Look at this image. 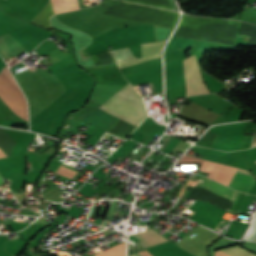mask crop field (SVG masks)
Listing matches in <instances>:
<instances>
[{"mask_svg": "<svg viewBox=\"0 0 256 256\" xmlns=\"http://www.w3.org/2000/svg\"><path fill=\"white\" fill-rule=\"evenodd\" d=\"M103 14L169 28H172L177 18V13L174 12L124 1L119 2Z\"/></svg>", "mask_w": 256, "mask_h": 256, "instance_id": "1", "label": "crop field"}, {"mask_svg": "<svg viewBox=\"0 0 256 256\" xmlns=\"http://www.w3.org/2000/svg\"><path fill=\"white\" fill-rule=\"evenodd\" d=\"M101 108L136 126L147 116L141 97L130 84L116 93Z\"/></svg>", "mask_w": 256, "mask_h": 256, "instance_id": "2", "label": "crop field"}, {"mask_svg": "<svg viewBox=\"0 0 256 256\" xmlns=\"http://www.w3.org/2000/svg\"><path fill=\"white\" fill-rule=\"evenodd\" d=\"M0 99L13 112L28 123V111L25 97L7 67L0 73Z\"/></svg>", "mask_w": 256, "mask_h": 256, "instance_id": "3", "label": "crop field"}, {"mask_svg": "<svg viewBox=\"0 0 256 256\" xmlns=\"http://www.w3.org/2000/svg\"><path fill=\"white\" fill-rule=\"evenodd\" d=\"M183 64L186 80V96L209 93L207 87L202 80L199 66L195 57L193 56L184 60Z\"/></svg>", "mask_w": 256, "mask_h": 256, "instance_id": "4", "label": "crop field"}, {"mask_svg": "<svg viewBox=\"0 0 256 256\" xmlns=\"http://www.w3.org/2000/svg\"><path fill=\"white\" fill-rule=\"evenodd\" d=\"M166 90L183 86L181 58L165 63Z\"/></svg>", "mask_w": 256, "mask_h": 256, "instance_id": "5", "label": "crop field"}, {"mask_svg": "<svg viewBox=\"0 0 256 256\" xmlns=\"http://www.w3.org/2000/svg\"><path fill=\"white\" fill-rule=\"evenodd\" d=\"M165 41H159V42H152V43H144L141 44L142 47V58H135L129 61H125L122 63H119V67H125L128 65H132L138 62L155 59L160 57V51L163 47Z\"/></svg>", "mask_w": 256, "mask_h": 256, "instance_id": "6", "label": "crop field"}, {"mask_svg": "<svg viewBox=\"0 0 256 256\" xmlns=\"http://www.w3.org/2000/svg\"><path fill=\"white\" fill-rule=\"evenodd\" d=\"M196 187L227 197L232 200L234 199L237 193L236 191L203 176H201V178L199 179L198 183L196 184Z\"/></svg>", "mask_w": 256, "mask_h": 256, "instance_id": "7", "label": "crop field"}, {"mask_svg": "<svg viewBox=\"0 0 256 256\" xmlns=\"http://www.w3.org/2000/svg\"><path fill=\"white\" fill-rule=\"evenodd\" d=\"M23 51L25 49L9 33L0 36V55L3 58Z\"/></svg>", "mask_w": 256, "mask_h": 256, "instance_id": "8", "label": "crop field"}, {"mask_svg": "<svg viewBox=\"0 0 256 256\" xmlns=\"http://www.w3.org/2000/svg\"><path fill=\"white\" fill-rule=\"evenodd\" d=\"M239 171L250 174L249 171H245V170H241V169H239ZM248 174L246 175V174L238 172L236 177H235V179H234V181H233V183H232V185H231V188H233V189L238 191L240 186H241V184H242V181H243V179H244V177L246 175V177H245V179L243 181V184H242V186H241L239 191L251 194L253 189H254L255 183L253 181L252 176L248 175Z\"/></svg>", "mask_w": 256, "mask_h": 256, "instance_id": "9", "label": "crop field"}, {"mask_svg": "<svg viewBox=\"0 0 256 256\" xmlns=\"http://www.w3.org/2000/svg\"><path fill=\"white\" fill-rule=\"evenodd\" d=\"M133 235L141 241L145 248L167 241L164 237H162L152 229Z\"/></svg>", "mask_w": 256, "mask_h": 256, "instance_id": "10", "label": "crop field"}, {"mask_svg": "<svg viewBox=\"0 0 256 256\" xmlns=\"http://www.w3.org/2000/svg\"><path fill=\"white\" fill-rule=\"evenodd\" d=\"M54 13L79 9L77 0H51Z\"/></svg>", "mask_w": 256, "mask_h": 256, "instance_id": "11", "label": "crop field"}, {"mask_svg": "<svg viewBox=\"0 0 256 256\" xmlns=\"http://www.w3.org/2000/svg\"><path fill=\"white\" fill-rule=\"evenodd\" d=\"M117 63L135 58L129 48L109 51Z\"/></svg>", "mask_w": 256, "mask_h": 256, "instance_id": "12", "label": "crop field"}, {"mask_svg": "<svg viewBox=\"0 0 256 256\" xmlns=\"http://www.w3.org/2000/svg\"><path fill=\"white\" fill-rule=\"evenodd\" d=\"M126 1L147 4V5H153V6H158V7H163V8L174 10L169 0H126Z\"/></svg>", "mask_w": 256, "mask_h": 256, "instance_id": "13", "label": "crop field"}, {"mask_svg": "<svg viewBox=\"0 0 256 256\" xmlns=\"http://www.w3.org/2000/svg\"><path fill=\"white\" fill-rule=\"evenodd\" d=\"M219 166V163L204 160L203 164L200 166V171L210 173L209 178L213 179Z\"/></svg>", "mask_w": 256, "mask_h": 256, "instance_id": "14", "label": "crop field"}, {"mask_svg": "<svg viewBox=\"0 0 256 256\" xmlns=\"http://www.w3.org/2000/svg\"><path fill=\"white\" fill-rule=\"evenodd\" d=\"M62 167H63V166H62ZM62 167H61V168H62ZM61 168H60V169H61ZM59 171H60V170H59ZM59 171H58V172H59ZM72 171H73V169L64 166V167L62 168V170L59 172V174L64 175V176L67 177ZM58 172H57V173H58ZM77 173H78V171L74 170L67 178L70 179V180H72V179L76 176Z\"/></svg>", "mask_w": 256, "mask_h": 256, "instance_id": "15", "label": "crop field"}, {"mask_svg": "<svg viewBox=\"0 0 256 256\" xmlns=\"http://www.w3.org/2000/svg\"><path fill=\"white\" fill-rule=\"evenodd\" d=\"M130 256H152V255L147 250H145L140 253L132 254Z\"/></svg>", "mask_w": 256, "mask_h": 256, "instance_id": "16", "label": "crop field"}, {"mask_svg": "<svg viewBox=\"0 0 256 256\" xmlns=\"http://www.w3.org/2000/svg\"><path fill=\"white\" fill-rule=\"evenodd\" d=\"M247 125H248V122H247V124H246L245 132H248V130H249V129H247ZM251 125H252V122H249L248 128H250ZM252 127H256V124H253ZM251 130H252V128H250V131H249V132H251Z\"/></svg>", "mask_w": 256, "mask_h": 256, "instance_id": "17", "label": "crop field"}, {"mask_svg": "<svg viewBox=\"0 0 256 256\" xmlns=\"http://www.w3.org/2000/svg\"><path fill=\"white\" fill-rule=\"evenodd\" d=\"M216 256H230V255H228V254H226V253L221 251V252H217Z\"/></svg>", "mask_w": 256, "mask_h": 256, "instance_id": "18", "label": "crop field"}, {"mask_svg": "<svg viewBox=\"0 0 256 256\" xmlns=\"http://www.w3.org/2000/svg\"><path fill=\"white\" fill-rule=\"evenodd\" d=\"M230 105H231V104H230ZM230 105H229V106H230ZM229 106H228V107H229ZM231 106H232V105H231ZM231 106H230V107H231ZM228 107L226 108V110L228 109ZM233 108H234V107L232 106V107L229 109V111H231ZM229 111H228V112H229ZM224 112H225V110H224ZM224 112H223L222 114H224ZM226 112H227V111H226ZM228 112H227V113H228ZM225 114H226V113H225ZM225 114H224V115H225ZM228 114H229V113H228ZM226 115H227V114H226ZM226 115H225V116H226ZM226 117H227V116H226Z\"/></svg>", "mask_w": 256, "mask_h": 256, "instance_id": "19", "label": "crop field"}, {"mask_svg": "<svg viewBox=\"0 0 256 256\" xmlns=\"http://www.w3.org/2000/svg\"><path fill=\"white\" fill-rule=\"evenodd\" d=\"M2 184H4V183H3L2 179L0 178V185H2Z\"/></svg>", "mask_w": 256, "mask_h": 256, "instance_id": "20", "label": "crop field"}, {"mask_svg": "<svg viewBox=\"0 0 256 256\" xmlns=\"http://www.w3.org/2000/svg\"><path fill=\"white\" fill-rule=\"evenodd\" d=\"M94 255H96V254H94ZM94 255H92V256H94Z\"/></svg>", "mask_w": 256, "mask_h": 256, "instance_id": "21", "label": "crop field"}, {"mask_svg": "<svg viewBox=\"0 0 256 256\" xmlns=\"http://www.w3.org/2000/svg\"><path fill=\"white\" fill-rule=\"evenodd\" d=\"M256 162V161H255Z\"/></svg>", "mask_w": 256, "mask_h": 256, "instance_id": "22", "label": "crop field"}]
</instances>
